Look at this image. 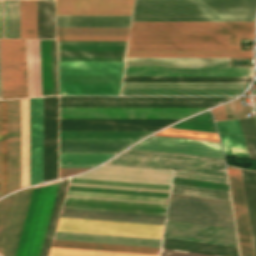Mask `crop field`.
I'll return each mask as SVG.
<instances>
[{"label": "crop field", "instance_id": "43", "mask_svg": "<svg viewBox=\"0 0 256 256\" xmlns=\"http://www.w3.org/2000/svg\"><path fill=\"white\" fill-rule=\"evenodd\" d=\"M249 156L256 159V121L254 117L238 119Z\"/></svg>", "mask_w": 256, "mask_h": 256}, {"label": "crop field", "instance_id": "42", "mask_svg": "<svg viewBox=\"0 0 256 256\" xmlns=\"http://www.w3.org/2000/svg\"><path fill=\"white\" fill-rule=\"evenodd\" d=\"M171 192L230 201L229 192L172 184Z\"/></svg>", "mask_w": 256, "mask_h": 256}, {"label": "crop field", "instance_id": "19", "mask_svg": "<svg viewBox=\"0 0 256 256\" xmlns=\"http://www.w3.org/2000/svg\"><path fill=\"white\" fill-rule=\"evenodd\" d=\"M241 256H253L240 170L227 167Z\"/></svg>", "mask_w": 256, "mask_h": 256}, {"label": "crop field", "instance_id": "41", "mask_svg": "<svg viewBox=\"0 0 256 256\" xmlns=\"http://www.w3.org/2000/svg\"><path fill=\"white\" fill-rule=\"evenodd\" d=\"M129 28H56L57 35H128Z\"/></svg>", "mask_w": 256, "mask_h": 256}, {"label": "crop field", "instance_id": "56", "mask_svg": "<svg viewBox=\"0 0 256 256\" xmlns=\"http://www.w3.org/2000/svg\"><path fill=\"white\" fill-rule=\"evenodd\" d=\"M98 164H59V167H93Z\"/></svg>", "mask_w": 256, "mask_h": 256}, {"label": "crop field", "instance_id": "24", "mask_svg": "<svg viewBox=\"0 0 256 256\" xmlns=\"http://www.w3.org/2000/svg\"><path fill=\"white\" fill-rule=\"evenodd\" d=\"M131 29H254V22H132Z\"/></svg>", "mask_w": 256, "mask_h": 256}, {"label": "crop field", "instance_id": "31", "mask_svg": "<svg viewBox=\"0 0 256 256\" xmlns=\"http://www.w3.org/2000/svg\"><path fill=\"white\" fill-rule=\"evenodd\" d=\"M127 57H252V51H128Z\"/></svg>", "mask_w": 256, "mask_h": 256}, {"label": "crop field", "instance_id": "53", "mask_svg": "<svg viewBox=\"0 0 256 256\" xmlns=\"http://www.w3.org/2000/svg\"><path fill=\"white\" fill-rule=\"evenodd\" d=\"M89 168H59L60 178L83 172Z\"/></svg>", "mask_w": 256, "mask_h": 256}, {"label": "crop field", "instance_id": "58", "mask_svg": "<svg viewBox=\"0 0 256 256\" xmlns=\"http://www.w3.org/2000/svg\"><path fill=\"white\" fill-rule=\"evenodd\" d=\"M0 99H1V85H0Z\"/></svg>", "mask_w": 256, "mask_h": 256}, {"label": "crop field", "instance_id": "14", "mask_svg": "<svg viewBox=\"0 0 256 256\" xmlns=\"http://www.w3.org/2000/svg\"><path fill=\"white\" fill-rule=\"evenodd\" d=\"M127 42L57 41L58 61H124Z\"/></svg>", "mask_w": 256, "mask_h": 256}, {"label": "crop field", "instance_id": "15", "mask_svg": "<svg viewBox=\"0 0 256 256\" xmlns=\"http://www.w3.org/2000/svg\"><path fill=\"white\" fill-rule=\"evenodd\" d=\"M130 149L182 153L224 159L219 144L185 138L151 136Z\"/></svg>", "mask_w": 256, "mask_h": 256}, {"label": "crop field", "instance_id": "27", "mask_svg": "<svg viewBox=\"0 0 256 256\" xmlns=\"http://www.w3.org/2000/svg\"><path fill=\"white\" fill-rule=\"evenodd\" d=\"M131 16H56V27H129Z\"/></svg>", "mask_w": 256, "mask_h": 256}, {"label": "crop field", "instance_id": "20", "mask_svg": "<svg viewBox=\"0 0 256 256\" xmlns=\"http://www.w3.org/2000/svg\"><path fill=\"white\" fill-rule=\"evenodd\" d=\"M253 68L125 67L124 76H252Z\"/></svg>", "mask_w": 256, "mask_h": 256}, {"label": "crop field", "instance_id": "29", "mask_svg": "<svg viewBox=\"0 0 256 256\" xmlns=\"http://www.w3.org/2000/svg\"><path fill=\"white\" fill-rule=\"evenodd\" d=\"M161 247L222 256H239L238 248L163 237Z\"/></svg>", "mask_w": 256, "mask_h": 256}, {"label": "crop field", "instance_id": "45", "mask_svg": "<svg viewBox=\"0 0 256 256\" xmlns=\"http://www.w3.org/2000/svg\"><path fill=\"white\" fill-rule=\"evenodd\" d=\"M69 182L169 190L170 186L71 178Z\"/></svg>", "mask_w": 256, "mask_h": 256}, {"label": "crop field", "instance_id": "22", "mask_svg": "<svg viewBox=\"0 0 256 256\" xmlns=\"http://www.w3.org/2000/svg\"><path fill=\"white\" fill-rule=\"evenodd\" d=\"M32 188L22 190L15 194L12 209L0 248V254L2 256H14L27 206L31 196Z\"/></svg>", "mask_w": 256, "mask_h": 256}, {"label": "crop field", "instance_id": "16", "mask_svg": "<svg viewBox=\"0 0 256 256\" xmlns=\"http://www.w3.org/2000/svg\"><path fill=\"white\" fill-rule=\"evenodd\" d=\"M163 236L238 247L232 229L166 220Z\"/></svg>", "mask_w": 256, "mask_h": 256}, {"label": "crop field", "instance_id": "33", "mask_svg": "<svg viewBox=\"0 0 256 256\" xmlns=\"http://www.w3.org/2000/svg\"><path fill=\"white\" fill-rule=\"evenodd\" d=\"M67 190L168 197L169 191L69 183ZM137 190L139 192H137Z\"/></svg>", "mask_w": 256, "mask_h": 256}, {"label": "crop field", "instance_id": "55", "mask_svg": "<svg viewBox=\"0 0 256 256\" xmlns=\"http://www.w3.org/2000/svg\"><path fill=\"white\" fill-rule=\"evenodd\" d=\"M212 112L215 120L227 119L222 105L214 108Z\"/></svg>", "mask_w": 256, "mask_h": 256}, {"label": "crop field", "instance_id": "37", "mask_svg": "<svg viewBox=\"0 0 256 256\" xmlns=\"http://www.w3.org/2000/svg\"><path fill=\"white\" fill-rule=\"evenodd\" d=\"M42 96L53 95L51 40H40Z\"/></svg>", "mask_w": 256, "mask_h": 256}, {"label": "crop field", "instance_id": "59", "mask_svg": "<svg viewBox=\"0 0 256 256\" xmlns=\"http://www.w3.org/2000/svg\"><path fill=\"white\" fill-rule=\"evenodd\" d=\"M256 118V117H255Z\"/></svg>", "mask_w": 256, "mask_h": 256}, {"label": "crop field", "instance_id": "40", "mask_svg": "<svg viewBox=\"0 0 256 256\" xmlns=\"http://www.w3.org/2000/svg\"><path fill=\"white\" fill-rule=\"evenodd\" d=\"M170 127L216 133L209 111L198 114Z\"/></svg>", "mask_w": 256, "mask_h": 256}, {"label": "crop field", "instance_id": "13", "mask_svg": "<svg viewBox=\"0 0 256 256\" xmlns=\"http://www.w3.org/2000/svg\"><path fill=\"white\" fill-rule=\"evenodd\" d=\"M207 108H59V118H184Z\"/></svg>", "mask_w": 256, "mask_h": 256}, {"label": "crop field", "instance_id": "52", "mask_svg": "<svg viewBox=\"0 0 256 256\" xmlns=\"http://www.w3.org/2000/svg\"><path fill=\"white\" fill-rule=\"evenodd\" d=\"M160 256H212V255L161 248Z\"/></svg>", "mask_w": 256, "mask_h": 256}, {"label": "crop field", "instance_id": "47", "mask_svg": "<svg viewBox=\"0 0 256 256\" xmlns=\"http://www.w3.org/2000/svg\"><path fill=\"white\" fill-rule=\"evenodd\" d=\"M14 194L9 195L0 200V245H1L3 234H4V230L6 227L9 212L11 209Z\"/></svg>", "mask_w": 256, "mask_h": 256}, {"label": "crop field", "instance_id": "50", "mask_svg": "<svg viewBox=\"0 0 256 256\" xmlns=\"http://www.w3.org/2000/svg\"><path fill=\"white\" fill-rule=\"evenodd\" d=\"M159 133L186 135V136H193V137H201V138H208V139L218 140L216 134L196 132V131H188V130H180V129H172V128H167V129H165V130H163Z\"/></svg>", "mask_w": 256, "mask_h": 256}, {"label": "crop field", "instance_id": "11", "mask_svg": "<svg viewBox=\"0 0 256 256\" xmlns=\"http://www.w3.org/2000/svg\"><path fill=\"white\" fill-rule=\"evenodd\" d=\"M2 99L27 97L24 40H0Z\"/></svg>", "mask_w": 256, "mask_h": 256}, {"label": "crop field", "instance_id": "9", "mask_svg": "<svg viewBox=\"0 0 256 256\" xmlns=\"http://www.w3.org/2000/svg\"><path fill=\"white\" fill-rule=\"evenodd\" d=\"M151 133L59 131V153H116Z\"/></svg>", "mask_w": 256, "mask_h": 256}, {"label": "crop field", "instance_id": "36", "mask_svg": "<svg viewBox=\"0 0 256 256\" xmlns=\"http://www.w3.org/2000/svg\"><path fill=\"white\" fill-rule=\"evenodd\" d=\"M6 100H0V196L7 193Z\"/></svg>", "mask_w": 256, "mask_h": 256}, {"label": "crop field", "instance_id": "1", "mask_svg": "<svg viewBox=\"0 0 256 256\" xmlns=\"http://www.w3.org/2000/svg\"><path fill=\"white\" fill-rule=\"evenodd\" d=\"M256 0H135L132 21H254Z\"/></svg>", "mask_w": 256, "mask_h": 256}, {"label": "crop field", "instance_id": "28", "mask_svg": "<svg viewBox=\"0 0 256 256\" xmlns=\"http://www.w3.org/2000/svg\"><path fill=\"white\" fill-rule=\"evenodd\" d=\"M28 97L41 96L39 40H25Z\"/></svg>", "mask_w": 256, "mask_h": 256}, {"label": "crop field", "instance_id": "48", "mask_svg": "<svg viewBox=\"0 0 256 256\" xmlns=\"http://www.w3.org/2000/svg\"><path fill=\"white\" fill-rule=\"evenodd\" d=\"M172 183L229 191L228 186L224 185V184H217V183H211V182L190 180V179L177 178V177L173 178Z\"/></svg>", "mask_w": 256, "mask_h": 256}, {"label": "crop field", "instance_id": "54", "mask_svg": "<svg viewBox=\"0 0 256 256\" xmlns=\"http://www.w3.org/2000/svg\"><path fill=\"white\" fill-rule=\"evenodd\" d=\"M54 95H57L55 40H52Z\"/></svg>", "mask_w": 256, "mask_h": 256}, {"label": "crop field", "instance_id": "12", "mask_svg": "<svg viewBox=\"0 0 256 256\" xmlns=\"http://www.w3.org/2000/svg\"><path fill=\"white\" fill-rule=\"evenodd\" d=\"M163 226L60 218L56 231L161 239Z\"/></svg>", "mask_w": 256, "mask_h": 256}, {"label": "crop field", "instance_id": "21", "mask_svg": "<svg viewBox=\"0 0 256 256\" xmlns=\"http://www.w3.org/2000/svg\"><path fill=\"white\" fill-rule=\"evenodd\" d=\"M30 185L42 182V98L29 99Z\"/></svg>", "mask_w": 256, "mask_h": 256}, {"label": "crop field", "instance_id": "17", "mask_svg": "<svg viewBox=\"0 0 256 256\" xmlns=\"http://www.w3.org/2000/svg\"><path fill=\"white\" fill-rule=\"evenodd\" d=\"M133 0H56V15H131Z\"/></svg>", "mask_w": 256, "mask_h": 256}, {"label": "crop field", "instance_id": "23", "mask_svg": "<svg viewBox=\"0 0 256 256\" xmlns=\"http://www.w3.org/2000/svg\"><path fill=\"white\" fill-rule=\"evenodd\" d=\"M60 217L163 225L165 216L62 209Z\"/></svg>", "mask_w": 256, "mask_h": 256}, {"label": "crop field", "instance_id": "51", "mask_svg": "<svg viewBox=\"0 0 256 256\" xmlns=\"http://www.w3.org/2000/svg\"><path fill=\"white\" fill-rule=\"evenodd\" d=\"M0 38H7L6 1H0Z\"/></svg>", "mask_w": 256, "mask_h": 256}, {"label": "crop field", "instance_id": "35", "mask_svg": "<svg viewBox=\"0 0 256 256\" xmlns=\"http://www.w3.org/2000/svg\"><path fill=\"white\" fill-rule=\"evenodd\" d=\"M52 246L158 254L159 248L54 240Z\"/></svg>", "mask_w": 256, "mask_h": 256}, {"label": "crop field", "instance_id": "49", "mask_svg": "<svg viewBox=\"0 0 256 256\" xmlns=\"http://www.w3.org/2000/svg\"><path fill=\"white\" fill-rule=\"evenodd\" d=\"M128 36H57V40L127 41Z\"/></svg>", "mask_w": 256, "mask_h": 256}, {"label": "crop field", "instance_id": "6", "mask_svg": "<svg viewBox=\"0 0 256 256\" xmlns=\"http://www.w3.org/2000/svg\"><path fill=\"white\" fill-rule=\"evenodd\" d=\"M59 181L33 188L15 256H39Z\"/></svg>", "mask_w": 256, "mask_h": 256}, {"label": "crop field", "instance_id": "34", "mask_svg": "<svg viewBox=\"0 0 256 256\" xmlns=\"http://www.w3.org/2000/svg\"><path fill=\"white\" fill-rule=\"evenodd\" d=\"M29 185L28 99H21V188Z\"/></svg>", "mask_w": 256, "mask_h": 256}, {"label": "crop field", "instance_id": "39", "mask_svg": "<svg viewBox=\"0 0 256 256\" xmlns=\"http://www.w3.org/2000/svg\"><path fill=\"white\" fill-rule=\"evenodd\" d=\"M49 256H158V255L52 247Z\"/></svg>", "mask_w": 256, "mask_h": 256}, {"label": "crop field", "instance_id": "46", "mask_svg": "<svg viewBox=\"0 0 256 256\" xmlns=\"http://www.w3.org/2000/svg\"><path fill=\"white\" fill-rule=\"evenodd\" d=\"M8 38H19L18 1H7Z\"/></svg>", "mask_w": 256, "mask_h": 256}, {"label": "crop field", "instance_id": "3", "mask_svg": "<svg viewBox=\"0 0 256 256\" xmlns=\"http://www.w3.org/2000/svg\"><path fill=\"white\" fill-rule=\"evenodd\" d=\"M109 165L175 170L174 176L227 184L224 160L198 156L127 150Z\"/></svg>", "mask_w": 256, "mask_h": 256}, {"label": "crop field", "instance_id": "25", "mask_svg": "<svg viewBox=\"0 0 256 256\" xmlns=\"http://www.w3.org/2000/svg\"><path fill=\"white\" fill-rule=\"evenodd\" d=\"M215 124L226 156L249 157L237 119Z\"/></svg>", "mask_w": 256, "mask_h": 256}, {"label": "crop field", "instance_id": "5", "mask_svg": "<svg viewBox=\"0 0 256 256\" xmlns=\"http://www.w3.org/2000/svg\"><path fill=\"white\" fill-rule=\"evenodd\" d=\"M168 198L67 191L62 208L165 215Z\"/></svg>", "mask_w": 256, "mask_h": 256}, {"label": "crop field", "instance_id": "8", "mask_svg": "<svg viewBox=\"0 0 256 256\" xmlns=\"http://www.w3.org/2000/svg\"><path fill=\"white\" fill-rule=\"evenodd\" d=\"M233 98L59 96V107H211Z\"/></svg>", "mask_w": 256, "mask_h": 256}, {"label": "crop field", "instance_id": "10", "mask_svg": "<svg viewBox=\"0 0 256 256\" xmlns=\"http://www.w3.org/2000/svg\"><path fill=\"white\" fill-rule=\"evenodd\" d=\"M248 83H123L122 95H239Z\"/></svg>", "mask_w": 256, "mask_h": 256}, {"label": "crop field", "instance_id": "26", "mask_svg": "<svg viewBox=\"0 0 256 256\" xmlns=\"http://www.w3.org/2000/svg\"><path fill=\"white\" fill-rule=\"evenodd\" d=\"M229 58H127L125 66H228Z\"/></svg>", "mask_w": 256, "mask_h": 256}, {"label": "crop field", "instance_id": "57", "mask_svg": "<svg viewBox=\"0 0 256 256\" xmlns=\"http://www.w3.org/2000/svg\"><path fill=\"white\" fill-rule=\"evenodd\" d=\"M155 135H160V136H174V137H185V138H191V139H197V140H204V141H210V142H216V143H219L218 141H215V140L200 139V138H193V137H186V136L163 135V134H155Z\"/></svg>", "mask_w": 256, "mask_h": 256}, {"label": "crop field", "instance_id": "44", "mask_svg": "<svg viewBox=\"0 0 256 256\" xmlns=\"http://www.w3.org/2000/svg\"><path fill=\"white\" fill-rule=\"evenodd\" d=\"M113 154H59V163H102Z\"/></svg>", "mask_w": 256, "mask_h": 256}, {"label": "crop field", "instance_id": "7", "mask_svg": "<svg viewBox=\"0 0 256 256\" xmlns=\"http://www.w3.org/2000/svg\"><path fill=\"white\" fill-rule=\"evenodd\" d=\"M166 219L235 229L230 202L174 193Z\"/></svg>", "mask_w": 256, "mask_h": 256}, {"label": "crop field", "instance_id": "32", "mask_svg": "<svg viewBox=\"0 0 256 256\" xmlns=\"http://www.w3.org/2000/svg\"><path fill=\"white\" fill-rule=\"evenodd\" d=\"M37 38H55L54 0H36Z\"/></svg>", "mask_w": 256, "mask_h": 256}, {"label": "crop field", "instance_id": "18", "mask_svg": "<svg viewBox=\"0 0 256 256\" xmlns=\"http://www.w3.org/2000/svg\"><path fill=\"white\" fill-rule=\"evenodd\" d=\"M8 193L20 188V99L7 100Z\"/></svg>", "mask_w": 256, "mask_h": 256}, {"label": "crop field", "instance_id": "4", "mask_svg": "<svg viewBox=\"0 0 256 256\" xmlns=\"http://www.w3.org/2000/svg\"><path fill=\"white\" fill-rule=\"evenodd\" d=\"M124 62H58L59 95H119Z\"/></svg>", "mask_w": 256, "mask_h": 256}, {"label": "crop field", "instance_id": "2", "mask_svg": "<svg viewBox=\"0 0 256 256\" xmlns=\"http://www.w3.org/2000/svg\"><path fill=\"white\" fill-rule=\"evenodd\" d=\"M254 30H131L128 50H240Z\"/></svg>", "mask_w": 256, "mask_h": 256}, {"label": "crop field", "instance_id": "30", "mask_svg": "<svg viewBox=\"0 0 256 256\" xmlns=\"http://www.w3.org/2000/svg\"><path fill=\"white\" fill-rule=\"evenodd\" d=\"M54 239L159 247L161 240L56 232Z\"/></svg>", "mask_w": 256, "mask_h": 256}, {"label": "crop field", "instance_id": "38", "mask_svg": "<svg viewBox=\"0 0 256 256\" xmlns=\"http://www.w3.org/2000/svg\"><path fill=\"white\" fill-rule=\"evenodd\" d=\"M20 38H36L35 0L19 1Z\"/></svg>", "mask_w": 256, "mask_h": 256}]
</instances>
